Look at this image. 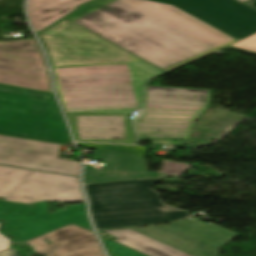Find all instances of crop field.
Here are the masks:
<instances>
[{
  "label": "crop field",
  "mask_w": 256,
  "mask_h": 256,
  "mask_svg": "<svg viewBox=\"0 0 256 256\" xmlns=\"http://www.w3.org/2000/svg\"><path fill=\"white\" fill-rule=\"evenodd\" d=\"M92 159L105 163L103 172L85 166V183L182 175L191 165L163 161L160 173L147 172L144 157L96 150Z\"/></svg>",
  "instance_id": "obj_11"
},
{
  "label": "crop field",
  "mask_w": 256,
  "mask_h": 256,
  "mask_svg": "<svg viewBox=\"0 0 256 256\" xmlns=\"http://www.w3.org/2000/svg\"><path fill=\"white\" fill-rule=\"evenodd\" d=\"M10 247V239L0 233V251Z\"/></svg>",
  "instance_id": "obj_20"
},
{
  "label": "crop field",
  "mask_w": 256,
  "mask_h": 256,
  "mask_svg": "<svg viewBox=\"0 0 256 256\" xmlns=\"http://www.w3.org/2000/svg\"><path fill=\"white\" fill-rule=\"evenodd\" d=\"M167 72L237 40L173 5L95 0L65 17Z\"/></svg>",
  "instance_id": "obj_2"
},
{
  "label": "crop field",
  "mask_w": 256,
  "mask_h": 256,
  "mask_svg": "<svg viewBox=\"0 0 256 256\" xmlns=\"http://www.w3.org/2000/svg\"><path fill=\"white\" fill-rule=\"evenodd\" d=\"M117 238L115 242L130 247L148 256H192L173 247L145 237L133 230L103 231Z\"/></svg>",
  "instance_id": "obj_15"
},
{
  "label": "crop field",
  "mask_w": 256,
  "mask_h": 256,
  "mask_svg": "<svg viewBox=\"0 0 256 256\" xmlns=\"http://www.w3.org/2000/svg\"><path fill=\"white\" fill-rule=\"evenodd\" d=\"M138 138L189 140L194 126L134 122Z\"/></svg>",
  "instance_id": "obj_16"
},
{
  "label": "crop field",
  "mask_w": 256,
  "mask_h": 256,
  "mask_svg": "<svg viewBox=\"0 0 256 256\" xmlns=\"http://www.w3.org/2000/svg\"><path fill=\"white\" fill-rule=\"evenodd\" d=\"M159 209H161L163 212L178 211L177 209H174V208L166 206V205L164 207L159 208Z\"/></svg>",
  "instance_id": "obj_22"
},
{
  "label": "crop field",
  "mask_w": 256,
  "mask_h": 256,
  "mask_svg": "<svg viewBox=\"0 0 256 256\" xmlns=\"http://www.w3.org/2000/svg\"><path fill=\"white\" fill-rule=\"evenodd\" d=\"M59 145L0 135V164L79 176L80 163L58 159Z\"/></svg>",
  "instance_id": "obj_10"
},
{
  "label": "crop field",
  "mask_w": 256,
  "mask_h": 256,
  "mask_svg": "<svg viewBox=\"0 0 256 256\" xmlns=\"http://www.w3.org/2000/svg\"><path fill=\"white\" fill-rule=\"evenodd\" d=\"M229 48L256 53V34L229 46Z\"/></svg>",
  "instance_id": "obj_19"
},
{
  "label": "crop field",
  "mask_w": 256,
  "mask_h": 256,
  "mask_svg": "<svg viewBox=\"0 0 256 256\" xmlns=\"http://www.w3.org/2000/svg\"><path fill=\"white\" fill-rule=\"evenodd\" d=\"M0 197L17 203L84 201L77 177L4 166H0Z\"/></svg>",
  "instance_id": "obj_5"
},
{
  "label": "crop field",
  "mask_w": 256,
  "mask_h": 256,
  "mask_svg": "<svg viewBox=\"0 0 256 256\" xmlns=\"http://www.w3.org/2000/svg\"><path fill=\"white\" fill-rule=\"evenodd\" d=\"M16 253V250L9 248L7 250L0 252V256H16Z\"/></svg>",
  "instance_id": "obj_21"
},
{
  "label": "crop field",
  "mask_w": 256,
  "mask_h": 256,
  "mask_svg": "<svg viewBox=\"0 0 256 256\" xmlns=\"http://www.w3.org/2000/svg\"><path fill=\"white\" fill-rule=\"evenodd\" d=\"M110 256H146L123 245L101 237Z\"/></svg>",
  "instance_id": "obj_18"
},
{
  "label": "crop field",
  "mask_w": 256,
  "mask_h": 256,
  "mask_svg": "<svg viewBox=\"0 0 256 256\" xmlns=\"http://www.w3.org/2000/svg\"><path fill=\"white\" fill-rule=\"evenodd\" d=\"M37 34L66 112L128 114L144 81L164 73L65 18Z\"/></svg>",
  "instance_id": "obj_1"
},
{
  "label": "crop field",
  "mask_w": 256,
  "mask_h": 256,
  "mask_svg": "<svg viewBox=\"0 0 256 256\" xmlns=\"http://www.w3.org/2000/svg\"><path fill=\"white\" fill-rule=\"evenodd\" d=\"M157 180L85 185L97 229L168 223L188 211L163 213L159 194L149 189Z\"/></svg>",
  "instance_id": "obj_3"
},
{
  "label": "crop field",
  "mask_w": 256,
  "mask_h": 256,
  "mask_svg": "<svg viewBox=\"0 0 256 256\" xmlns=\"http://www.w3.org/2000/svg\"><path fill=\"white\" fill-rule=\"evenodd\" d=\"M0 134L70 143L50 93L0 85Z\"/></svg>",
  "instance_id": "obj_4"
},
{
  "label": "crop field",
  "mask_w": 256,
  "mask_h": 256,
  "mask_svg": "<svg viewBox=\"0 0 256 256\" xmlns=\"http://www.w3.org/2000/svg\"><path fill=\"white\" fill-rule=\"evenodd\" d=\"M36 41L0 42V84L52 93L48 68Z\"/></svg>",
  "instance_id": "obj_8"
},
{
  "label": "crop field",
  "mask_w": 256,
  "mask_h": 256,
  "mask_svg": "<svg viewBox=\"0 0 256 256\" xmlns=\"http://www.w3.org/2000/svg\"><path fill=\"white\" fill-rule=\"evenodd\" d=\"M76 140L133 143L127 115L66 113Z\"/></svg>",
  "instance_id": "obj_12"
},
{
  "label": "crop field",
  "mask_w": 256,
  "mask_h": 256,
  "mask_svg": "<svg viewBox=\"0 0 256 256\" xmlns=\"http://www.w3.org/2000/svg\"><path fill=\"white\" fill-rule=\"evenodd\" d=\"M79 146H84L93 149L118 152L130 155L144 156L147 149L146 147H134V146H119V145H106V144H89V143H78Z\"/></svg>",
  "instance_id": "obj_17"
},
{
  "label": "crop field",
  "mask_w": 256,
  "mask_h": 256,
  "mask_svg": "<svg viewBox=\"0 0 256 256\" xmlns=\"http://www.w3.org/2000/svg\"><path fill=\"white\" fill-rule=\"evenodd\" d=\"M170 3L238 41L256 33V11L236 0H153Z\"/></svg>",
  "instance_id": "obj_9"
},
{
  "label": "crop field",
  "mask_w": 256,
  "mask_h": 256,
  "mask_svg": "<svg viewBox=\"0 0 256 256\" xmlns=\"http://www.w3.org/2000/svg\"><path fill=\"white\" fill-rule=\"evenodd\" d=\"M244 3L256 9V0H251Z\"/></svg>",
  "instance_id": "obj_23"
},
{
  "label": "crop field",
  "mask_w": 256,
  "mask_h": 256,
  "mask_svg": "<svg viewBox=\"0 0 256 256\" xmlns=\"http://www.w3.org/2000/svg\"><path fill=\"white\" fill-rule=\"evenodd\" d=\"M211 93V90L146 86L138 120L194 125L210 106Z\"/></svg>",
  "instance_id": "obj_7"
},
{
  "label": "crop field",
  "mask_w": 256,
  "mask_h": 256,
  "mask_svg": "<svg viewBox=\"0 0 256 256\" xmlns=\"http://www.w3.org/2000/svg\"><path fill=\"white\" fill-rule=\"evenodd\" d=\"M90 0H29L28 15L36 32Z\"/></svg>",
  "instance_id": "obj_14"
},
{
  "label": "crop field",
  "mask_w": 256,
  "mask_h": 256,
  "mask_svg": "<svg viewBox=\"0 0 256 256\" xmlns=\"http://www.w3.org/2000/svg\"><path fill=\"white\" fill-rule=\"evenodd\" d=\"M238 1L243 2V1H246V0H238Z\"/></svg>",
  "instance_id": "obj_24"
},
{
  "label": "crop field",
  "mask_w": 256,
  "mask_h": 256,
  "mask_svg": "<svg viewBox=\"0 0 256 256\" xmlns=\"http://www.w3.org/2000/svg\"><path fill=\"white\" fill-rule=\"evenodd\" d=\"M47 238L53 245L41 240ZM35 253L48 256H105L94 233L70 225L28 241Z\"/></svg>",
  "instance_id": "obj_13"
},
{
  "label": "crop field",
  "mask_w": 256,
  "mask_h": 256,
  "mask_svg": "<svg viewBox=\"0 0 256 256\" xmlns=\"http://www.w3.org/2000/svg\"><path fill=\"white\" fill-rule=\"evenodd\" d=\"M65 207V211L49 215L45 202L20 205L0 201V219L7 221L5 230L21 242L70 223L92 231L85 214V203Z\"/></svg>",
  "instance_id": "obj_6"
}]
</instances>
